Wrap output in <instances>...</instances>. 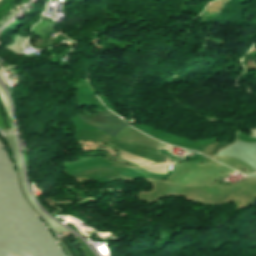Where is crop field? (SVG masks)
<instances>
[{
	"label": "crop field",
	"mask_w": 256,
	"mask_h": 256,
	"mask_svg": "<svg viewBox=\"0 0 256 256\" xmlns=\"http://www.w3.org/2000/svg\"><path fill=\"white\" fill-rule=\"evenodd\" d=\"M81 117V116H80ZM85 122L104 130L110 135H115L123 128L128 126L115 114L109 112L108 110L98 112L95 117H81ZM108 134V135H109Z\"/></svg>",
	"instance_id": "obj_1"
},
{
	"label": "crop field",
	"mask_w": 256,
	"mask_h": 256,
	"mask_svg": "<svg viewBox=\"0 0 256 256\" xmlns=\"http://www.w3.org/2000/svg\"><path fill=\"white\" fill-rule=\"evenodd\" d=\"M214 148H215V147L208 146V147H206L205 149H214ZM203 151L213 152L214 150H203ZM201 153H203V154H205V155H207V156H209V157L212 156V153H207V152H201Z\"/></svg>",
	"instance_id": "obj_3"
},
{
	"label": "crop field",
	"mask_w": 256,
	"mask_h": 256,
	"mask_svg": "<svg viewBox=\"0 0 256 256\" xmlns=\"http://www.w3.org/2000/svg\"><path fill=\"white\" fill-rule=\"evenodd\" d=\"M0 96H1L2 101L5 100V99H7L6 96H5V94H4V91H3L2 88H1V86H0ZM4 102H5V105H6L7 110H8L7 113H8V115H9V117H11V116H10V112H9V108H8V102H7V100L4 101ZM4 102H3V103H4ZM5 105H4V106H5ZM6 107H5V108H6Z\"/></svg>",
	"instance_id": "obj_2"
}]
</instances>
